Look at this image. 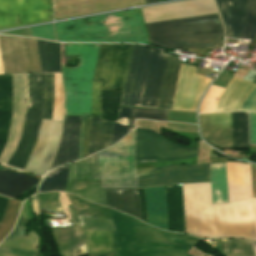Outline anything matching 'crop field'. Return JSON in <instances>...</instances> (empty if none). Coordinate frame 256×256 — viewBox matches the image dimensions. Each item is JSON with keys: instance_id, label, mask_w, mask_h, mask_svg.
Returning a JSON list of instances; mask_svg holds the SVG:
<instances>
[{"instance_id": "d1516ede", "label": "crop field", "mask_w": 256, "mask_h": 256, "mask_svg": "<svg viewBox=\"0 0 256 256\" xmlns=\"http://www.w3.org/2000/svg\"><path fill=\"white\" fill-rule=\"evenodd\" d=\"M52 19L51 0H0V29Z\"/></svg>"}, {"instance_id": "0fb4a251", "label": "crop field", "mask_w": 256, "mask_h": 256, "mask_svg": "<svg viewBox=\"0 0 256 256\" xmlns=\"http://www.w3.org/2000/svg\"><path fill=\"white\" fill-rule=\"evenodd\" d=\"M19 217L33 218L32 213L30 212L29 199H27L25 201V203L20 211Z\"/></svg>"}, {"instance_id": "dd49c442", "label": "crop field", "mask_w": 256, "mask_h": 256, "mask_svg": "<svg viewBox=\"0 0 256 256\" xmlns=\"http://www.w3.org/2000/svg\"><path fill=\"white\" fill-rule=\"evenodd\" d=\"M148 36L197 31L222 27L219 15L170 20L145 24ZM222 38V28L149 38L151 45L186 50L188 46H212Z\"/></svg>"}, {"instance_id": "dbb93151", "label": "crop field", "mask_w": 256, "mask_h": 256, "mask_svg": "<svg viewBox=\"0 0 256 256\" xmlns=\"http://www.w3.org/2000/svg\"><path fill=\"white\" fill-rule=\"evenodd\" d=\"M90 116L86 117L85 131H84V149L83 157H87V141H88V128H89Z\"/></svg>"}, {"instance_id": "e52e79f7", "label": "crop field", "mask_w": 256, "mask_h": 256, "mask_svg": "<svg viewBox=\"0 0 256 256\" xmlns=\"http://www.w3.org/2000/svg\"><path fill=\"white\" fill-rule=\"evenodd\" d=\"M99 44H65V55L79 56L74 68L62 67L66 115H90L92 77Z\"/></svg>"}, {"instance_id": "b54c1fbb", "label": "crop field", "mask_w": 256, "mask_h": 256, "mask_svg": "<svg viewBox=\"0 0 256 256\" xmlns=\"http://www.w3.org/2000/svg\"><path fill=\"white\" fill-rule=\"evenodd\" d=\"M166 115H167V111H164V110L133 108L130 115L129 128H134L135 118L166 120Z\"/></svg>"}, {"instance_id": "e1f06a70", "label": "crop field", "mask_w": 256, "mask_h": 256, "mask_svg": "<svg viewBox=\"0 0 256 256\" xmlns=\"http://www.w3.org/2000/svg\"><path fill=\"white\" fill-rule=\"evenodd\" d=\"M122 91L101 89V119L116 120Z\"/></svg>"}, {"instance_id": "425ffa30", "label": "crop field", "mask_w": 256, "mask_h": 256, "mask_svg": "<svg viewBox=\"0 0 256 256\" xmlns=\"http://www.w3.org/2000/svg\"><path fill=\"white\" fill-rule=\"evenodd\" d=\"M29 29L31 35L34 37L56 41L52 24L41 27H33Z\"/></svg>"}, {"instance_id": "78b8030e", "label": "crop field", "mask_w": 256, "mask_h": 256, "mask_svg": "<svg viewBox=\"0 0 256 256\" xmlns=\"http://www.w3.org/2000/svg\"><path fill=\"white\" fill-rule=\"evenodd\" d=\"M159 1H165V0H159Z\"/></svg>"}, {"instance_id": "214f88e0", "label": "crop field", "mask_w": 256, "mask_h": 256, "mask_svg": "<svg viewBox=\"0 0 256 256\" xmlns=\"http://www.w3.org/2000/svg\"><path fill=\"white\" fill-rule=\"evenodd\" d=\"M222 15L227 38L240 39L248 0H216Z\"/></svg>"}, {"instance_id": "a9b5d70f", "label": "crop field", "mask_w": 256, "mask_h": 256, "mask_svg": "<svg viewBox=\"0 0 256 256\" xmlns=\"http://www.w3.org/2000/svg\"><path fill=\"white\" fill-rule=\"evenodd\" d=\"M12 77L0 75V153L4 147L11 120Z\"/></svg>"}, {"instance_id": "89e229c0", "label": "crop field", "mask_w": 256, "mask_h": 256, "mask_svg": "<svg viewBox=\"0 0 256 256\" xmlns=\"http://www.w3.org/2000/svg\"><path fill=\"white\" fill-rule=\"evenodd\" d=\"M250 143L256 144V113H249Z\"/></svg>"}, {"instance_id": "ac0d7876", "label": "crop field", "mask_w": 256, "mask_h": 256, "mask_svg": "<svg viewBox=\"0 0 256 256\" xmlns=\"http://www.w3.org/2000/svg\"><path fill=\"white\" fill-rule=\"evenodd\" d=\"M111 215L116 229L112 232L114 253L90 256H189L186 252L200 241L148 226L115 210Z\"/></svg>"}, {"instance_id": "9d1cf04e", "label": "crop field", "mask_w": 256, "mask_h": 256, "mask_svg": "<svg viewBox=\"0 0 256 256\" xmlns=\"http://www.w3.org/2000/svg\"><path fill=\"white\" fill-rule=\"evenodd\" d=\"M252 174L253 198H256V165L250 164Z\"/></svg>"}, {"instance_id": "5a996713", "label": "crop field", "mask_w": 256, "mask_h": 256, "mask_svg": "<svg viewBox=\"0 0 256 256\" xmlns=\"http://www.w3.org/2000/svg\"><path fill=\"white\" fill-rule=\"evenodd\" d=\"M136 164L185 159L197 155L198 148L180 147L151 130H135Z\"/></svg>"}, {"instance_id": "25e5ab78", "label": "crop field", "mask_w": 256, "mask_h": 256, "mask_svg": "<svg viewBox=\"0 0 256 256\" xmlns=\"http://www.w3.org/2000/svg\"><path fill=\"white\" fill-rule=\"evenodd\" d=\"M100 85L101 82L93 80L92 111L91 115L99 116L100 110Z\"/></svg>"}, {"instance_id": "b80d0937", "label": "crop field", "mask_w": 256, "mask_h": 256, "mask_svg": "<svg viewBox=\"0 0 256 256\" xmlns=\"http://www.w3.org/2000/svg\"><path fill=\"white\" fill-rule=\"evenodd\" d=\"M132 108L120 106L117 121L112 124V144L128 132V119Z\"/></svg>"}, {"instance_id": "0765c3eb", "label": "crop field", "mask_w": 256, "mask_h": 256, "mask_svg": "<svg viewBox=\"0 0 256 256\" xmlns=\"http://www.w3.org/2000/svg\"><path fill=\"white\" fill-rule=\"evenodd\" d=\"M8 200H9L8 198L0 196V222L2 220L3 213L6 208Z\"/></svg>"}, {"instance_id": "eef30255", "label": "crop field", "mask_w": 256, "mask_h": 256, "mask_svg": "<svg viewBox=\"0 0 256 256\" xmlns=\"http://www.w3.org/2000/svg\"><path fill=\"white\" fill-rule=\"evenodd\" d=\"M41 241L32 231L23 238L7 241L0 245V256H35Z\"/></svg>"}, {"instance_id": "120bbe31", "label": "crop field", "mask_w": 256, "mask_h": 256, "mask_svg": "<svg viewBox=\"0 0 256 256\" xmlns=\"http://www.w3.org/2000/svg\"><path fill=\"white\" fill-rule=\"evenodd\" d=\"M83 230L90 254L113 252L111 232L88 229Z\"/></svg>"}, {"instance_id": "750c4746", "label": "crop field", "mask_w": 256, "mask_h": 256, "mask_svg": "<svg viewBox=\"0 0 256 256\" xmlns=\"http://www.w3.org/2000/svg\"><path fill=\"white\" fill-rule=\"evenodd\" d=\"M179 64L180 61L177 58L168 57L158 108L171 109L172 107Z\"/></svg>"}, {"instance_id": "cbeb9de0", "label": "crop field", "mask_w": 256, "mask_h": 256, "mask_svg": "<svg viewBox=\"0 0 256 256\" xmlns=\"http://www.w3.org/2000/svg\"><path fill=\"white\" fill-rule=\"evenodd\" d=\"M61 124L62 121L43 120L41 133L25 171L44 174L59 141Z\"/></svg>"}, {"instance_id": "28ad6ade", "label": "crop field", "mask_w": 256, "mask_h": 256, "mask_svg": "<svg viewBox=\"0 0 256 256\" xmlns=\"http://www.w3.org/2000/svg\"><path fill=\"white\" fill-rule=\"evenodd\" d=\"M139 187L209 182L208 164L136 170Z\"/></svg>"}, {"instance_id": "4a817a6b", "label": "crop field", "mask_w": 256, "mask_h": 256, "mask_svg": "<svg viewBox=\"0 0 256 256\" xmlns=\"http://www.w3.org/2000/svg\"><path fill=\"white\" fill-rule=\"evenodd\" d=\"M81 116H65L60 144L49 170L78 160Z\"/></svg>"}, {"instance_id": "447ae74e", "label": "crop field", "mask_w": 256, "mask_h": 256, "mask_svg": "<svg viewBox=\"0 0 256 256\" xmlns=\"http://www.w3.org/2000/svg\"><path fill=\"white\" fill-rule=\"evenodd\" d=\"M85 117H86V116H82L81 132H80L79 160L83 158V157H82V148H83V131H84Z\"/></svg>"}, {"instance_id": "028f5c9d", "label": "crop field", "mask_w": 256, "mask_h": 256, "mask_svg": "<svg viewBox=\"0 0 256 256\" xmlns=\"http://www.w3.org/2000/svg\"><path fill=\"white\" fill-rule=\"evenodd\" d=\"M66 201L73 204L78 213L100 218L112 219L109 208L84 201L71 194L63 193Z\"/></svg>"}, {"instance_id": "4177f3b9", "label": "crop field", "mask_w": 256, "mask_h": 256, "mask_svg": "<svg viewBox=\"0 0 256 256\" xmlns=\"http://www.w3.org/2000/svg\"><path fill=\"white\" fill-rule=\"evenodd\" d=\"M168 230L185 233L181 186H165Z\"/></svg>"}, {"instance_id": "5142ce71", "label": "crop field", "mask_w": 256, "mask_h": 256, "mask_svg": "<svg viewBox=\"0 0 256 256\" xmlns=\"http://www.w3.org/2000/svg\"><path fill=\"white\" fill-rule=\"evenodd\" d=\"M13 77V106L12 120L5 148L0 156V162L6 164L11 156L22 128L25 109L26 73L12 74Z\"/></svg>"}, {"instance_id": "730fd06b", "label": "crop field", "mask_w": 256, "mask_h": 256, "mask_svg": "<svg viewBox=\"0 0 256 256\" xmlns=\"http://www.w3.org/2000/svg\"><path fill=\"white\" fill-rule=\"evenodd\" d=\"M111 124V121L100 120L99 117L91 116L88 156L111 146Z\"/></svg>"}, {"instance_id": "d8731c3e", "label": "crop field", "mask_w": 256, "mask_h": 256, "mask_svg": "<svg viewBox=\"0 0 256 256\" xmlns=\"http://www.w3.org/2000/svg\"><path fill=\"white\" fill-rule=\"evenodd\" d=\"M102 188H137L133 161V131L113 147L98 153Z\"/></svg>"}, {"instance_id": "34b2d1b8", "label": "crop field", "mask_w": 256, "mask_h": 256, "mask_svg": "<svg viewBox=\"0 0 256 256\" xmlns=\"http://www.w3.org/2000/svg\"><path fill=\"white\" fill-rule=\"evenodd\" d=\"M133 45L101 44L95 77L101 88L122 90ZM149 51L134 45L120 105L138 106Z\"/></svg>"}, {"instance_id": "733c2abd", "label": "crop field", "mask_w": 256, "mask_h": 256, "mask_svg": "<svg viewBox=\"0 0 256 256\" xmlns=\"http://www.w3.org/2000/svg\"><path fill=\"white\" fill-rule=\"evenodd\" d=\"M166 59L151 48L140 106L157 108Z\"/></svg>"}, {"instance_id": "7b73153f", "label": "crop field", "mask_w": 256, "mask_h": 256, "mask_svg": "<svg viewBox=\"0 0 256 256\" xmlns=\"http://www.w3.org/2000/svg\"><path fill=\"white\" fill-rule=\"evenodd\" d=\"M253 244V248H254V251H255V255H256V244L252 243Z\"/></svg>"}, {"instance_id": "c21b1889", "label": "crop field", "mask_w": 256, "mask_h": 256, "mask_svg": "<svg viewBox=\"0 0 256 256\" xmlns=\"http://www.w3.org/2000/svg\"><path fill=\"white\" fill-rule=\"evenodd\" d=\"M222 243L227 256H255L250 242L227 240Z\"/></svg>"}, {"instance_id": "f4fd0767", "label": "crop field", "mask_w": 256, "mask_h": 256, "mask_svg": "<svg viewBox=\"0 0 256 256\" xmlns=\"http://www.w3.org/2000/svg\"><path fill=\"white\" fill-rule=\"evenodd\" d=\"M53 98L54 73H27L23 129L7 165L24 170L40 133L41 119L52 117Z\"/></svg>"}, {"instance_id": "1d79db26", "label": "crop field", "mask_w": 256, "mask_h": 256, "mask_svg": "<svg viewBox=\"0 0 256 256\" xmlns=\"http://www.w3.org/2000/svg\"><path fill=\"white\" fill-rule=\"evenodd\" d=\"M141 202L142 220L147 222L143 189H138Z\"/></svg>"}, {"instance_id": "db79e9e6", "label": "crop field", "mask_w": 256, "mask_h": 256, "mask_svg": "<svg viewBox=\"0 0 256 256\" xmlns=\"http://www.w3.org/2000/svg\"><path fill=\"white\" fill-rule=\"evenodd\" d=\"M147 4L157 2L158 0H145Z\"/></svg>"}, {"instance_id": "03da06ac", "label": "crop field", "mask_w": 256, "mask_h": 256, "mask_svg": "<svg viewBox=\"0 0 256 256\" xmlns=\"http://www.w3.org/2000/svg\"><path fill=\"white\" fill-rule=\"evenodd\" d=\"M255 37H256V0H249L241 39H255Z\"/></svg>"}, {"instance_id": "3316defc", "label": "crop field", "mask_w": 256, "mask_h": 256, "mask_svg": "<svg viewBox=\"0 0 256 256\" xmlns=\"http://www.w3.org/2000/svg\"><path fill=\"white\" fill-rule=\"evenodd\" d=\"M0 52L4 73L41 72L35 39L0 36Z\"/></svg>"}, {"instance_id": "8a807250", "label": "crop field", "mask_w": 256, "mask_h": 256, "mask_svg": "<svg viewBox=\"0 0 256 256\" xmlns=\"http://www.w3.org/2000/svg\"><path fill=\"white\" fill-rule=\"evenodd\" d=\"M186 233L254 240L252 202L211 205L209 183L182 185Z\"/></svg>"}, {"instance_id": "c035e120", "label": "crop field", "mask_w": 256, "mask_h": 256, "mask_svg": "<svg viewBox=\"0 0 256 256\" xmlns=\"http://www.w3.org/2000/svg\"><path fill=\"white\" fill-rule=\"evenodd\" d=\"M32 205L33 210L38 212L36 209V204L38 200V204L40 209H50V210H58L63 211L60 203H59V193H47V194H38L36 196H32ZM64 212V211H63Z\"/></svg>"}, {"instance_id": "1f2cbd36", "label": "crop field", "mask_w": 256, "mask_h": 256, "mask_svg": "<svg viewBox=\"0 0 256 256\" xmlns=\"http://www.w3.org/2000/svg\"><path fill=\"white\" fill-rule=\"evenodd\" d=\"M27 230H28V228L15 226L14 230L11 232V234L4 241L9 240V239H13V238H16V237H20V236H25Z\"/></svg>"}, {"instance_id": "d23c7cc5", "label": "crop field", "mask_w": 256, "mask_h": 256, "mask_svg": "<svg viewBox=\"0 0 256 256\" xmlns=\"http://www.w3.org/2000/svg\"><path fill=\"white\" fill-rule=\"evenodd\" d=\"M223 90L224 88L211 85L200 105V113L214 112L217 98L223 92Z\"/></svg>"}, {"instance_id": "92a150f3", "label": "crop field", "mask_w": 256, "mask_h": 256, "mask_svg": "<svg viewBox=\"0 0 256 256\" xmlns=\"http://www.w3.org/2000/svg\"><path fill=\"white\" fill-rule=\"evenodd\" d=\"M255 83L235 77L217 101L215 112L240 110L241 103Z\"/></svg>"}, {"instance_id": "bd1437ed", "label": "crop field", "mask_w": 256, "mask_h": 256, "mask_svg": "<svg viewBox=\"0 0 256 256\" xmlns=\"http://www.w3.org/2000/svg\"><path fill=\"white\" fill-rule=\"evenodd\" d=\"M36 41L42 72L61 73L60 44L38 39Z\"/></svg>"}, {"instance_id": "bc2a9ffb", "label": "crop field", "mask_w": 256, "mask_h": 256, "mask_svg": "<svg viewBox=\"0 0 256 256\" xmlns=\"http://www.w3.org/2000/svg\"><path fill=\"white\" fill-rule=\"evenodd\" d=\"M199 121L204 139L231 149L230 113L199 115Z\"/></svg>"}, {"instance_id": "1d83c4d3", "label": "crop field", "mask_w": 256, "mask_h": 256, "mask_svg": "<svg viewBox=\"0 0 256 256\" xmlns=\"http://www.w3.org/2000/svg\"><path fill=\"white\" fill-rule=\"evenodd\" d=\"M212 204L228 203L225 163L209 164Z\"/></svg>"}, {"instance_id": "73cf0c24", "label": "crop field", "mask_w": 256, "mask_h": 256, "mask_svg": "<svg viewBox=\"0 0 256 256\" xmlns=\"http://www.w3.org/2000/svg\"><path fill=\"white\" fill-rule=\"evenodd\" d=\"M241 110L256 112V87L250 92V94L242 103Z\"/></svg>"}, {"instance_id": "d9b57169", "label": "crop field", "mask_w": 256, "mask_h": 256, "mask_svg": "<svg viewBox=\"0 0 256 256\" xmlns=\"http://www.w3.org/2000/svg\"><path fill=\"white\" fill-rule=\"evenodd\" d=\"M229 203L253 201L256 240V199H252L251 174L248 164L226 163Z\"/></svg>"}, {"instance_id": "22f410ed", "label": "crop field", "mask_w": 256, "mask_h": 256, "mask_svg": "<svg viewBox=\"0 0 256 256\" xmlns=\"http://www.w3.org/2000/svg\"><path fill=\"white\" fill-rule=\"evenodd\" d=\"M211 79L196 74V67L181 63L172 109L195 111Z\"/></svg>"}, {"instance_id": "dafd665d", "label": "crop field", "mask_w": 256, "mask_h": 256, "mask_svg": "<svg viewBox=\"0 0 256 256\" xmlns=\"http://www.w3.org/2000/svg\"><path fill=\"white\" fill-rule=\"evenodd\" d=\"M148 223L167 230L164 187L144 188Z\"/></svg>"}, {"instance_id": "412701ff", "label": "crop field", "mask_w": 256, "mask_h": 256, "mask_svg": "<svg viewBox=\"0 0 256 256\" xmlns=\"http://www.w3.org/2000/svg\"><path fill=\"white\" fill-rule=\"evenodd\" d=\"M58 41L149 44L140 10H130L54 24Z\"/></svg>"}, {"instance_id": "0bd39190", "label": "crop field", "mask_w": 256, "mask_h": 256, "mask_svg": "<svg viewBox=\"0 0 256 256\" xmlns=\"http://www.w3.org/2000/svg\"><path fill=\"white\" fill-rule=\"evenodd\" d=\"M68 166L55 168L49 171L43 178L39 191L64 190L68 176Z\"/></svg>"}, {"instance_id": "d32e631a", "label": "crop field", "mask_w": 256, "mask_h": 256, "mask_svg": "<svg viewBox=\"0 0 256 256\" xmlns=\"http://www.w3.org/2000/svg\"><path fill=\"white\" fill-rule=\"evenodd\" d=\"M232 149L248 148L247 112L231 113Z\"/></svg>"}, {"instance_id": "00972430", "label": "crop field", "mask_w": 256, "mask_h": 256, "mask_svg": "<svg viewBox=\"0 0 256 256\" xmlns=\"http://www.w3.org/2000/svg\"><path fill=\"white\" fill-rule=\"evenodd\" d=\"M106 206L141 219L137 189H105Z\"/></svg>"}, {"instance_id": "5866460e", "label": "crop field", "mask_w": 256, "mask_h": 256, "mask_svg": "<svg viewBox=\"0 0 256 256\" xmlns=\"http://www.w3.org/2000/svg\"><path fill=\"white\" fill-rule=\"evenodd\" d=\"M74 182L100 183L97 153L76 163Z\"/></svg>"}, {"instance_id": "ae1a2a85", "label": "crop field", "mask_w": 256, "mask_h": 256, "mask_svg": "<svg viewBox=\"0 0 256 256\" xmlns=\"http://www.w3.org/2000/svg\"><path fill=\"white\" fill-rule=\"evenodd\" d=\"M51 234L61 256H71L70 250L85 242L81 228H52Z\"/></svg>"}, {"instance_id": "5d738f31", "label": "crop field", "mask_w": 256, "mask_h": 256, "mask_svg": "<svg viewBox=\"0 0 256 256\" xmlns=\"http://www.w3.org/2000/svg\"><path fill=\"white\" fill-rule=\"evenodd\" d=\"M64 92L61 82V74L55 73V102L52 120H62Z\"/></svg>"}, {"instance_id": "d3111659", "label": "crop field", "mask_w": 256, "mask_h": 256, "mask_svg": "<svg viewBox=\"0 0 256 256\" xmlns=\"http://www.w3.org/2000/svg\"><path fill=\"white\" fill-rule=\"evenodd\" d=\"M75 163L69 166V176L64 191L77 194L85 199L105 206L104 189L100 184L73 183Z\"/></svg>"}]
</instances>
